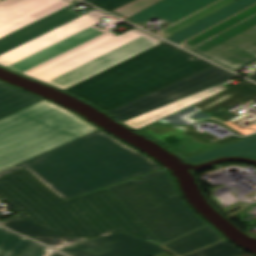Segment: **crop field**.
<instances>
[{"label":"crop field","mask_w":256,"mask_h":256,"mask_svg":"<svg viewBox=\"0 0 256 256\" xmlns=\"http://www.w3.org/2000/svg\"><path fill=\"white\" fill-rule=\"evenodd\" d=\"M236 77L238 75L213 65L199 73L186 77L106 113L123 122Z\"/></svg>","instance_id":"crop-field-8"},{"label":"crop field","mask_w":256,"mask_h":256,"mask_svg":"<svg viewBox=\"0 0 256 256\" xmlns=\"http://www.w3.org/2000/svg\"><path fill=\"white\" fill-rule=\"evenodd\" d=\"M84 1L89 2V1H91V0H84Z\"/></svg>","instance_id":"crop-field-27"},{"label":"crop field","mask_w":256,"mask_h":256,"mask_svg":"<svg viewBox=\"0 0 256 256\" xmlns=\"http://www.w3.org/2000/svg\"><path fill=\"white\" fill-rule=\"evenodd\" d=\"M219 237L220 235L208 225L164 246L177 256H180L217 242Z\"/></svg>","instance_id":"crop-field-16"},{"label":"crop field","mask_w":256,"mask_h":256,"mask_svg":"<svg viewBox=\"0 0 256 256\" xmlns=\"http://www.w3.org/2000/svg\"><path fill=\"white\" fill-rule=\"evenodd\" d=\"M140 177L108 189L161 245L207 225L183 202L164 169Z\"/></svg>","instance_id":"crop-field-6"},{"label":"crop field","mask_w":256,"mask_h":256,"mask_svg":"<svg viewBox=\"0 0 256 256\" xmlns=\"http://www.w3.org/2000/svg\"><path fill=\"white\" fill-rule=\"evenodd\" d=\"M179 45L232 71L256 61V4Z\"/></svg>","instance_id":"crop-field-7"},{"label":"crop field","mask_w":256,"mask_h":256,"mask_svg":"<svg viewBox=\"0 0 256 256\" xmlns=\"http://www.w3.org/2000/svg\"><path fill=\"white\" fill-rule=\"evenodd\" d=\"M255 3L256 0H240L167 40L178 44Z\"/></svg>","instance_id":"crop-field-15"},{"label":"crop field","mask_w":256,"mask_h":256,"mask_svg":"<svg viewBox=\"0 0 256 256\" xmlns=\"http://www.w3.org/2000/svg\"><path fill=\"white\" fill-rule=\"evenodd\" d=\"M97 129L47 100L36 103L0 119V171Z\"/></svg>","instance_id":"crop-field-5"},{"label":"crop field","mask_w":256,"mask_h":256,"mask_svg":"<svg viewBox=\"0 0 256 256\" xmlns=\"http://www.w3.org/2000/svg\"><path fill=\"white\" fill-rule=\"evenodd\" d=\"M43 99L0 82V118Z\"/></svg>","instance_id":"crop-field-17"},{"label":"crop field","mask_w":256,"mask_h":256,"mask_svg":"<svg viewBox=\"0 0 256 256\" xmlns=\"http://www.w3.org/2000/svg\"><path fill=\"white\" fill-rule=\"evenodd\" d=\"M77 0L0 2V65L62 90L159 43L132 30L94 26L107 14L77 13Z\"/></svg>","instance_id":"crop-field-1"},{"label":"crop field","mask_w":256,"mask_h":256,"mask_svg":"<svg viewBox=\"0 0 256 256\" xmlns=\"http://www.w3.org/2000/svg\"><path fill=\"white\" fill-rule=\"evenodd\" d=\"M211 65L164 42L65 91L108 111Z\"/></svg>","instance_id":"crop-field-4"},{"label":"crop field","mask_w":256,"mask_h":256,"mask_svg":"<svg viewBox=\"0 0 256 256\" xmlns=\"http://www.w3.org/2000/svg\"><path fill=\"white\" fill-rule=\"evenodd\" d=\"M236 1L238 0H217L155 34L166 39Z\"/></svg>","instance_id":"crop-field-18"},{"label":"crop field","mask_w":256,"mask_h":256,"mask_svg":"<svg viewBox=\"0 0 256 256\" xmlns=\"http://www.w3.org/2000/svg\"><path fill=\"white\" fill-rule=\"evenodd\" d=\"M244 253L246 252L236 248L229 242L224 241L186 256H239Z\"/></svg>","instance_id":"crop-field-20"},{"label":"crop field","mask_w":256,"mask_h":256,"mask_svg":"<svg viewBox=\"0 0 256 256\" xmlns=\"http://www.w3.org/2000/svg\"><path fill=\"white\" fill-rule=\"evenodd\" d=\"M255 98L256 85L246 80L193 105L209 114L211 110L221 105H233L239 102H248Z\"/></svg>","instance_id":"crop-field-11"},{"label":"crop field","mask_w":256,"mask_h":256,"mask_svg":"<svg viewBox=\"0 0 256 256\" xmlns=\"http://www.w3.org/2000/svg\"><path fill=\"white\" fill-rule=\"evenodd\" d=\"M236 155L256 159V136L191 158V163H200L215 157Z\"/></svg>","instance_id":"crop-field-19"},{"label":"crop field","mask_w":256,"mask_h":256,"mask_svg":"<svg viewBox=\"0 0 256 256\" xmlns=\"http://www.w3.org/2000/svg\"><path fill=\"white\" fill-rule=\"evenodd\" d=\"M249 79L253 80L256 82V72H254L250 77Z\"/></svg>","instance_id":"crop-field-24"},{"label":"crop field","mask_w":256,"mask_h":256,"mask_svg":"<svg viewBox=\"0 0 256 256\" xmlns=\"http://www.w3.org/2000/svg\"><path fill=\"white\" fill-rule=\"evenodd\" d=\"M166 249L119 232L60 250L69 256H150Z\"/></svg>","instance_id":"crop-field-9"},{"label":"crop field","mask_w":256,"mask_h":256,"mask_svg":"<svg viewBox=\"0 0 256 256\" xmlns=\"http://www.w3.org/2000/svg\"><path fill=\"white\" fill-rule=\"evenodd\" d=\"M1 223L9 229L17 231L25 236L36 239L38 241H41L54 249L63 248L65 246L88 239V238H60L16 216L11 217Z\"/></svg>","instance_id":"crop-field-12"},{"label":"crop field","mask_w":256,"mask_h":256,"mask_svg":"<svg viewBox=\"0 0 256 256\" xmlns=\"http://www.w3.org/2000/svg\"><path fill=\"white\" fill-rule=\"evenodd\" d=\"M241 256H252V255H250L249 253H246V254L241 255Z\"/></svg>","instance_id":"crop-field-26"},{"label":"crop field","mask_w":256,"mask_h":256,"mask_svg":"<svg viewBox=\"0 0 256 256\" xmlns=\"http://www.w3.org/2000/svg\"><path fill=\"white\" fill-rule=\"evenodd\" d=\"M0 195L18 217L61 237H95L124 231L159 242L107 189L66 203L25 170L0 179ZM83 211V215L79 212Z\"/></svg>","instance_id":"crop-field-3"},{"label":"crop field","mask_w":256,"mask_h":256,"mask_svg":"<svg viewBox=\"0 0 256 256\" xmlns=\"http://www.w3.org/2000/svg\"><path fill=\"white\" fill-rule=\"evenodd\" d=\"M52 250L0 227V256H47Z\"/></svg>","instance_id":"crop-field-14"},{"label":"crop field","mask_w":256,"mask_h":256,"mask_svg":"<svg viewBox=\"0 0 256 256\" xmlns=\"http://www.w3.org/2000/svg\"><path fill=\"white\" fill-rule=\"evenodd\" d=\"M133 0H94L89 3L107 11L110 12L126 3H129Z\"/></svg>","instance_id":"crop-field-23"},{"label":"crop field","mask_w":256,"mask_h":256,"mask_svg":"<svg viewBox=\"0 0 256 256\" xmlns=\"http://www.w3.org/2000/svg\"><path fill=\"white\" fill-rule=\"evenodd\" d=\"M216 0H163L125 20L136 25L157 17L170 24Z\"/></svg>","instance_id":"crop-field-10"},{"label":"crop field","mask_w":256,"mask_h":256,"mask_svg":"<svg viewBox=\"0 0 256 256\" xmlns=\"http://www.w3.org/2000/svg\"><path fill=\"white\" fill-rule=\"evenodd\" d=\"M52 256H64V255H62V254H60V253L56 252V253H55V254H53Z\"/></svg>","instance_id":"crop-field-25"},{"label":"crop field","mask_w":256,"mask_h":256,"mask_svg":"<svg viewBox=\"0 0 256 256\" xmlns=\"http://www.w3.org/2000/svg\"><path fill=\"white\" fill-rule=\"evenodd\" d=\"M25 168L67 200L161 168L133 147L97 130L8 170Z\"/></svg>","instance_id":"crop-field-2"},{"label":"crop field","mask_w":256,"mask_h":256,"mask_svg":"<svg viewBox=\"0 0 256 256\" xmlns=\"http://www.w3.org/2000/svg\"><path fill=\"white\" fill-rule=\"evenodd\" d=\"M165 118H175L180 119L184 122H193L197 120H204V119H211L210 116L203 111L197 109L194 106H188L168 117ZM165 118L157 121L158 123H161Z\"/></svg>","instance_id":"crop-field-21"},{"label":"crop field","mask_w":256,"mask_h":256,"mask_svg":"<svg viewBox=\"0 0 256 256\" xmlns=\"http://www.w3.org/2000/svg\"><path fill=\"white\" fill-rule=\"evenodd\" d=\"M159 1L161 0H136L110 13L125 19Z\"/></svg>","instance_id":"crop-field-22"},{"label":"crop field","mask_w":256,"mask_h":256,"mask_svg":"<svg viewBox=\"0 0 256 256\" xmlns=\"http://www.w3.org/2000/svg\"><path fill=\"white\" fill-rule=\"evenodd\" d=\"M219 91H221L219 88L213 86L209 89H206L204 91H201V92L191 95L189 97L183 98L181 100H178L176 102H173L171 104L163 106L161 108H158V109L148 112L146 114H143V115H140L133 119H130L128 121H125L123 123L135 130H138L139 128H141L147 124L157 121L173 112H176L190 104H193V103H195L201 99H204L210 95H213Z\"/></svg>","instance_id":"crop-field-13"}]
</instances>
